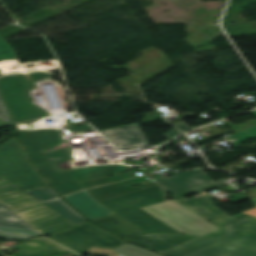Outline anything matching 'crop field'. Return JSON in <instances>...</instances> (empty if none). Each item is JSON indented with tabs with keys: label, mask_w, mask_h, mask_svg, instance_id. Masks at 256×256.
Wrapping results in <instances>:
<instances>
[{
	"label": "crop field",
	"mask_w": 256,
	"mask_h": 256,
	"mask_svg": "<svg viewBox=\"0 0 256 256\" xmlns=\"http://www.w3.org/2000/svg\"><path fill=\"white\" fill-rule=\"evenodd\" d=\"M0 231L41 236L8 206L0 204Z\"/></svg>",
	"instance_id": "obj_13"
},
{
	"label": "crop field",
	"mask_w": 256,
	"mask_h": 256,
	"mask_svg": "<svg viewBox=\"0 0 256 256\" xmlns=\"http://www.w3.org/2000/svg\"><path fill=\"white\" fill-rule=\"evenodd\" d=\"M132 172H135V171H132ZM132 172L121 173V174H117V175H113V176H109V177H105L97 180H92V181H88L80 184L86 189V188H90V187H94L102 184L111 183L114 181H119L121 179L131 178L128 176V174Z\"/></svg>",
	"instance_id": "obj_18"
},
{
	"label": "crop field",
	"mask_w": 256,
	"mask_h": 256,
	"mask_svg": "<svg viewBox=\"0 0 256 256\" xmlns=\"http://www.w3.org/2000/svg\"><path fill=\"white\" fill-rule=\"evenodd\" d=\"M63 126H64L65 130L67 131L69 137L78 136L79 133L88 132V131H93V132L97 133L88 124L71 127L69 125V123H65V124H63Z\"/></svg>",
	"instance_id": "obj_20"
},
{
	"label": "crop field",
	"mask_w": 256,
	"mask_h": 256,
	"mask_svg": "<svg viewBox=\"0 0 256 256\" xmlns=\"http://www.w3.org/2000/svg\"><path fill=\"white\" fill-rule=\"evenodd\" d=\"M0 119L11 124V119H10V116H9V113L7 111V108L4 104V101L2 99V96L0 94Z\"/></svg>",
	"instance_id": "obj_23"
},
{
	"label": "crop field",
	"mask_w": 256,
	"mask_h": 256,
	"mask_svg": "<svg viewBox=\"0 0 256 256\" xmlns=\"http://www.w3.org/2000/svg\"><path fill=\"white\" fill-rule=\"evenodd\" d=\"M108 252H109V250H107V249L91 248L87 253H97V254L107 255Z\"/></svg>",
	"instance_id": "obj_29"
},
{
	"label": "crop field",
	"mask_w": 256,
	"mask_h": 256,
	"mask_svg": "<svg viewBox=\"0 0 256 256\" xmlns=\"http://www.w3.org/2000/svg\"><path fill=\"white\" fill-rule=\"evenodd\" d=\"M15 213L40 234L51 235L75 227L74 224L43 203L21 209Z\"/></svg>",
	"instance_id": "obj_8"
},
{
	"label": "crop field",
	"mask_w": 256,
	"mask_h": 256,
	"mask_svg": "<svg viewBox=\"0 0 256 256\" xmlns=\"http://www.w3.org/2000/svg\"><path fill=\"white\" fill-rule=\"evenodd\" d=\"M179 134H181L177 129L171 131V132H167L162 134L163 136H165L166 138L170 139L172 137L178 136Z\"/></svg>",
	"instance_id": "obj_30"
},
{
	"label": "crop field",
	"mask_w": 256,
	"mask_h": 256,
	"mask_svg": "<svg viewBox=\"0 0 256 256\" xmlns=\"http://www.w3.org/2000/svg\"><path fill=\"white\" fill-rule=\"evenodd\" d=\"M17 72H24V71H16V72H12V73H17ZM11 74V73H10Z\"/></svg>",
	"instance_id": "obj_38"
},
{
	"label": "crop field",
	"mask_w": 256,
	"mask_h": 256,
	"mask_svg": "<svg viewBox=\"0 0 256 256\" xmlns=\"http://www.w3.org/2000/svg\"><path fill=\"white\" fill-rule=\"evenodd\" d=\"M54 188L61 196L83 189L77 181L55 186Z\"/></svg>",
	"instance_id": "obj_21"
},
{
	"label": "crop field",
	"mask_w": 256,
	"mask_h": 256,
	"mask_svg": "<svg viewBox=\"0 0 256 256\" xmlns=\"http://www.w3.org/2000/svg\"><path fill=\"white\" fill-rule=\"evenodd\" d=\"M157 167H158V165L152 166V167H148V168H145V169H141V170H137V172L141 171L143 174H145V173H149V172H152V171L156 170Z\"/></svg>",
	"instance_id": "obj_33"
},
{
	"label": "crop field",
	"mask_w": 256,
	"mask_h": 256,
	"mask_svg": "<svg viewBox=\"0 0 256 256\" xmlns=\"http://www.w3.org/2000/svg\"><path fill=\"white\" fill-rule=\"evenodd\" d=\"M220 189H222L226 193H228L230 191H232V192L236 191V189L232 185L220 187Z\"/></svg>",
	"instance_id": "obj_34"
},
{
	"label": "crop field",
	"mask_w": 256,
	"mask_h": 256,
	"mask_svg": "<svg viewBox=\"0 0 256 256\" xmlns=\"http://www.w3.org/2000/svg\"><path fill=\"white\" fill-rule=\"evenodd\" d=\"M0 236H2L5 239V241L36 237V236H28V235H20V234H12V233H4V232H0Z\"/></svg>",
	"instance_id": "obj_24"
},
{
	"label": "crop field",
	"mask_w": 256,
	"mask_h": 256,
	"mask_svg": "<svg viewBox=\"0 0 256 256\" xmlns=\"http://www.w3.org/2000/svg\"><path fill=\"white\" fill-rule=\"evenodd\" d=\"M52 81L51 77L32 81L29 74L0 78V89L15 123L51 116L32 103L30 92L37 89L36 82Z\"/></svg>",
	"instance_id": "obj_4"
},
{
	"label": "crop field",
	"mask_w": 256,
	"mask_h": 256,
	"mask_svg": "<svg viewBox=\"0 0 256 256\" xmlns=\"http://www.w3.org/2000/svg\"><path fill=\"white\" fill-rule=\"evenodd\" d=\"M37 202H39L37 199L17 187L10 180L4 177L0 178V203L6 204L15 210Z\"/></svg>",
	"instance_id": "obj_11"
},
{
	"label": "crop field",
	"mask_w": 256,
	"mask_h": 256,
	"mask_svg": "<svg viewBox=\"0 0 256 256\" xmlns=\"http://www.w3.org/2000/svg\"><path fill=\"white\" fill-rule=\"evenodd\" d=\"M14 181L25 190L50 186L32 167L15 138L0 146V177Z\"/></svg>",
	"instance_id": "obj_5"
},
{
	"label": "crop field",
	"mask_w": 256,
	"mask_h": 256,
	"mask_svg": "<svg viewBox=\"0 0 256 256\" xmlns=\"http://www.w3.org/2000/svg\"><path fill=\"white\" fill-rule=\"evenodd\" d=\"M108 256H118L117 254H115L113 251H110Z\"/></svg>",
	"instance_id": "obj_36"
},
{
	"label": "crop field",
	"mask_w": 256,
	"mask_h": 256,
	"mask_svg": "<svg viewBox=\"0 0 256 256\" xmlns=\"http://www.w3.org/2000/svg\"><path fill=\"white\" fill-rule=\"evenodd\" d=\"M175 126H177L179 129H181L184 132L191 130V128L185 122Z\"/></svg>",
	"instance_id": "obj_32"
},
{
	"label": "crop field",
	"mask_w": 256,
	"mask_h": 256,
	"mask_svg": "<svg viewBox=\"0 0 256 256\" xmlns=\"http://www.w3.org/2000/svg\"><path fill=\"white\" fill-rule=\"evenodd\" d=\"M63 200V199H62ZM61 199L45 202L46 205L51 207L53 210L67 218L72 223H80L83 221H87L82 215L76 212L73 208H71L68 204H66Z\"/></svg>",
	"instance_id": "obj_16"
},
{
	"label": "crop field",
	"mask_w": 256,
	"mask_h": 256,
	"mask_svg": "<svg viewBox=\"0 0 256 256\" xmlns=\"http://www.w3.org/2000/svg\"><path fill=\"white\" fill-rule=\"evenodd\" d=\"M28 193L36 197L41 202L59 197V195L55 192V190L52 187L29 191Z\"/></svg>",
	"instance_id": "obj_19"
},
{
	"label": "crop field",
	"mask_w": 256,
	"mask_h": 256,
	"mask_svg": "<svg viewBox=\"0 0 256 256\" xmlns=\"http://www.w3.org/2000/svg\"><path fill=\"white\" fill-rule=\"evenodd\" d=\"M249 194L253 200V202H252L253 206L256 207V187L254 189H252L251 191H249Z\"/></svg>",
	"instance_id": "obj_31"
},
{
	"label": "crop field",
	"mask_w": 256,
	"mask_h": 256,
	"mask_svg": "<svg viewBox=\"0 0 256 256\" xmlns=\"http://www.w3.org/2000/svg\"><path fill=\"white\" fill-rule=\"evenodd\" d=\"M231 196L234 197V200H233L234 203L248 199V196L245 194V192L234 193V194H231Z\"/></svg>",
	"instance_id": "obj_27"
},
{
	"label": "crop field",
	"mask_w": 256,
	"mask_h": 256,
	"mask_svg": "<svg viewBox=\"0 0 256 256\" xmlns=\"http://www.w3.org/2000/svg\"><path fill=\"white\" fill-rule=\"evenodd\" d=\"M6 126H9V124H7V123H5V122L0 120V128L6 127Z\"/></svg>",
	"instance_id": "obj_35"
},
{
	"label": "crop field",
	"mask_w": 256,
	"mask_h": 256,
	"mask_svg": "<svg viewBox=\"0 0 256 256\" xmlns=\"http://www.w3.org/2000/svg\"><path fill=\"white\" fill-rule=\"evenodd\" d=\"M13 248L22 251L13 256H49L66 251L65 248L46 239H35L31 242L21 244Z\"/></svg>",
	"instance_id": "obj_14"
},
{
	"label": "crop field",
	"mask_w": 256,
	"mask_h": 256,
	"mask_svg": "<svg viewBox=\"0 0 256 256\" xmlns=\"http://www.w3.org/2000/svg\"><path fill=\"white\" fill-rule=\"evenodd\" d=\"M140 184V187L133 188L132 185ZM152 185H156L153 180H147L146 177L135 178L132 180L118 182L111 185L100 186L94 189L88 190L94 199L97 201L122 195L128 192L146 188Z\"/></svg>",
	"instance_id": "obj_10"
},
{
	"label": "crop field",
	"mask_w": 256,
	"mask_h": 256,
	"mask_svg": "<svg viewBox=\"0 0 256 256\" xmlns=\"http://www.w3.org/2000/svg\"><path fill=\"white\" fill-rule=\"evenodd\" d=\"M164 192V191H163ZM159 185L99 201L115 214L125 218L145 233L181 234L140 208L165 202ZM124 219V220H125Z\"/></svg>",
	"instance_id": "obj_3"
},
{
	"label": "crop field",
	"mask_w": 256,
	"mask_h": 256,
	"mask_svg": "<svg viewBox=\"0 0 256 256\" xmlns=\"http://www.w3.org/2000/svg\"><path fill=\"white\" fill-rule=\"evenodd\" d=\"M142 209L183 234L202 236L220 229L173 200Z\"/></svg>",
	"instance_id": "obj_6"
},
{
	"label": "crop field",
	"mask_w": 256,
	"mask_h": 256,
	"mask_svg": "<svg viewBox=\"0 0 256 256\" xmlns=\"http://www.w3.org/2000/svg\"><path fill=\"white\" fill-rule=\"evenodd\" d=\"M224 124H227L229 125L230 127H232L234 130H239V129H242V128H246V127H250L254 124H256V119L254 120H251V121H247V122H244V123H241V124H233L231 123L230 121L226 120V121H222Z\"/></svg>",
	"instance_id": "obj_25"
},
{
	"label": "crop field",
	"mask_w": 256,
	"mask_h": 256,
	"mask_svg": "<svg viewBox=\"0 0 256 256\" xmlns=\"http://www.w3.org/2000/svg\"><path fill=\"white\" fill-rule=\"evenodd\" d=\"M36 168L52 186L78 180L84 182L130 170L127 166L103 165L61 169L57 165L80 159L59 124L41 127L38 121L16 125Z\"/></svg>",
	"instance_id": "obj_2"
},
{
	"label": "crop field",
	"mask_w": 256,
	"mask_h": 256,
	"mask_svg": "<svg viewBox=\"0 0 256 256\" xmlns=\"http://www.w3.org/2000/svg\"><path fill=\"white\" fill-rule=\"evenodd\" d=\"M121 150L148 146L149 141L137 124L99 131Z\"/></svg>",
	"instance_id": "obj_9"
},
{
	"label": "crop field",
	"mask_w": 256,
	"mask_h": 256,
	"mask_svg": "<svg viewBox=\"0 0 256 256\" xmlns=\"http://www.w3.org/2000/svg\"><path fill=\"white\" fill-rule=\"evenodd\" d=\"M67 121H64V122H61L59 120L58 117H55V118H49V119H45V120H40L39 123L41 124V126H44V125H50V124H56V123H59L61 128L63 129V131L65 132L66 136L68 137L66 131L64 130L63 126L61 123H65ZM68 139L70 140V138L68 137ZM71 144H72V141L70 140Z\"/></svg>",
	"instance_id": "obj_26"
},
{
	"label": "crop field",
	"mask_w": 256,
	"mask_h": 256,
	"mask_svg": "<svg viewBox=\"0 0 256 256\" xmlns=\"http://www.w3.org/2000/svg\"><path fill=\"white\" fill-rule=\"evenodd\" d=\"M19 66L16 53L0 34V75Z\"/></svg>",
	"instance_id": "obj_15"
},
{
	"label": "crop field",
	"mask_w": 256,
	"mask_h": 256,
	"mask_svg": "<svg viewBox=\"0 0 256 256\" xmlns=\"http://www.w3.org/2000/svg\"><path fill=\"white\" fill-rule=\"evenodd\" d=\"M64 199L89 220L113 214L112 211L97 203L87 190L64 197Z\"/></svg>",
	"instance_id": "obj_12"
},
{
	"label": "crop field",
	"mask_w": 256,
	"mask_h": 256,
	"mask_svg": "<svg viewBox=\"0 0 256 256\" xmlns=\"http://www.w3.org/2000/svg\"><path fill=\"white\" fill-rule=\"evenodd\" d=\"M141 53L145 55L124 67L136 74L118 81L135 87L173 67L161 50L148 48Z\"/></svg>",
	"instance_id": "obj_7"
},
{
	"label": "crop field",
	"mask_w": 256,
	"mask_h": 256,
	"mask_svg": "<svg viewBox=\"0 0 256 256\" xmlns=\"http://www.w3.org/2000/svg\"><path fill=\"white\" fill-rule=\"evenodd\" d=\"M112 250L120 256H162L129 243L115 247Z\"/></svg>",
	"instance_id": "obj_17"
},
{
	"label": "crop field",
	"mask_w": 256,
	"mask_h": 256,
	"mask_svg": "<svg viewBox=\"0 0 256 256\" xmlns=\"http://www.w3.org/2000/svg\"><path fill=\"white\" fill-rule=\"evenodd\" d=\"M255 215L253 208L211 221L221 229L202 237L144 234L130 242L166 256H256Z\"/></svg>",
	"instance_id": "obj_1"
},
{
	"label": "crop field",
	"mask_w": 256,
	"mask_h": 256,
	"mask_svg": "<svg viewBox=\"0 0 256 256\" xmlns=\"http://www.w3.org/2000/svg\"><path fill=\"white\" fill-rule=\"evenodd\" d=\"M32 80L34 79H39V78H43V77H48V76H52L50 74L47 73H43V72H35V73H29Z\"/></svg>",
	"instance_id": "obj_28"
},
{
	"label": "crop field",
	"mask_w": 256,
	"mask_h": 256,
	"mask_svg": "<svg viewBox=\"0 0 256 256\" xmlns=\"http://www.w3.org/2000/svg\"><path fill=\"white\" fill-rule=\"evenodd\" d=\"M251 115H253L254 117H256V110L255 111H252V112H249Z\"/></svg>",
	"instance_id": "obj_37"
},
{
	"label": "crop field",
	"mask_w": 256,
	"mask_h": 256,
	"mask_svg": "<svg viewBox=\"0 0 256 256\" xmlns=\"http://www.w3.org/2000/svg\"><path fill=\"white\" fill-rule=\"evenodd\" d=\"M24 66L27 71L45 70L51 68L47 60L27 62L24 63Z\"/></svg>",
	"instance_id": "obj_22"
}]
</instances>
